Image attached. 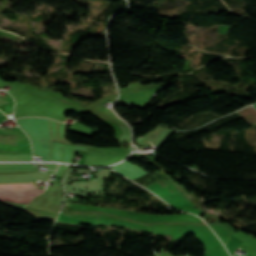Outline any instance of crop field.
<instances>
[{
	"label": "crop field",
	"instance_id": "crop-field-4",
	"mask_svg": "<svg viewBox=\"0 0 256 256\" xmlns=\"http://www.w3.org/2000/svg\"><path fill=\"white\" fill-rule=\"evenodd\" d=\"M228 27L227 26H219L218 33H226Z\"/></svg>",
	"mask_w": 256,
	"mask_h": 256
},
{
	"label": "crop field",
	"instance_id": "crop-field-3",
	"mask_svg": "<svg viewBox=\"0 0 256 256\" xmlns=\"http://www.w3.org/2000/svg\"><path fill=\"white\" fill-rule=\"evenodd\" d=\"M0 34L5 35V36H7V37H10V38H12V39H14V40H16V39L18 38V36L9 34V33L5 32V31H1V30H0Z\"/></svg>",
	"mask_w": 256,
	"mask_h": 256
},
{
	"label": "crop field",
	"instance_id": "crop-field-1",
	"mask_svg": "<svg viewBox=\"0 0 256 256\" xmlns=\"http://www.w3.org/2000/svg\"><path fill=\"white\" fill-rule=\"evenodd\" d=\"M44 190H37L33 183L0 185V196L27 199L41 194ZM0 197V200L30 203L27 200L11 199Z\"/></svg>",
	"mask_w": 256,
	"mask_h": 256
},
{
	"label": "crop field",
	"instance_id": "crop-field-2",
	"mask_svg": "<svg viewBox=\"0 0 256 256\" xmlns=\"http://www.w3.org/2000/svg\"><path fill=\"white\" fill-rule=\"evenodd\" d=\"M237 112L241 114L249 123L256 125V121L254 120L256 119V110L252 106L241 109ZM248 114H251L252 117H249Z\"/></svg>",
	"mask_w": 256,
	"mask_h": 256
}]
</instances>
